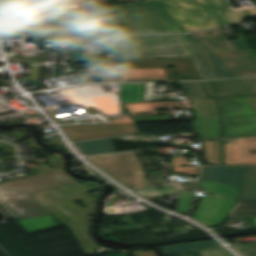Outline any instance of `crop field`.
<instances>
[{
  "instance_id": "1",
  "label": "crop field",
  "mask_w": 256,
  "mask_h": 256,
  "mask_svg": "<svg viewBox=\"0 0 256 256\" xmlns=\"http://www.w3.org/2000/svg\"><path fill=\"white\" fill-rule=\"evenodd\" d=\"M181 33L237 24L256 8L229 12L222 0H148L103 8L115 33Z\"/></svg>"
},
{
  "instance_id": "2",
  "label": "crop field",
  "mask_w": 256,
  "mask_h": 256,
  "mask_svg": "<svg viewBox=\"0 0 256 256\" xmlns=\"http://www.w3.org/2000/svg\"><path fill=\"white\" fill-rule=\"evenodd\" d=\"M201 80L256 75V54L246 38L228 41L221 29L186 34Z\"/></svg>"
},
{
  "instance_id": "3",
  "label": "crop field",
  "mask_w": 256,
  "mask_h": 256,
  "mask_svg": "<svg viewBox=\"0 0 256 256\" xmlns=\"http://www.w3.org/2000/svg\"><path fill=\"white\" fill-rule=\"evenodd\" d=\"M63 170L0 184V206L15 220L47 214L29 194L48 189L77 184Z\"/></svg>"
},
{
  "instance_id": "4",
  "label": "crop field",
  "mask_w": 256,
  "mask_h": 256,
  "mask_svg": "<svg viewBox=\"0 0 256 256\" xmlns=\"http://www.w3.org/2000/svg\"><path fill=\"white\" fill-rule=\"evenodd\" d=\"M101 186L93 182L77 184L57 190H48L31 194V196L50 214L58 219L63 225L70 228L75 239L86 255L96 254L98 245L91 239V223L81 225L69 213H67L55 201L88 193L87 190L100 188Z\"/></svg>"
},
{
  "instance_id": "5",
  "label": "crop field",
  "mask_w": 256,
  "mask_h": 256,
  "mask_svg": "<svg viewBox=\"0 0 256 256\" xmlns=\"http://www.w3.org/2000/svg\"><path fill=\"white\" fill-rule=\"evenodd\" d=\"M194 55L185 35L183 36H124V60L165 58Z\"/></svg>"
},
{
  "instance_id": "6",
  "label": "crop field",
  "mask_w": 256,
  "mask_h": 256,
  "mask_svg": "<svg viewBox=\"0 0 256 256\" xmlns=\"http://www.w3.org/2000/svg\"><path fill=\"white\" fill-rule=\"evenodd\" d=\"M223 138L256 135V97L217 99Z\"/></svg>"
},
{
  "instance_id": "7",
  "label": "crop field",
  "mask_w": 256,
  "mask_h": 256,
  "mask_svg": "<svg viewBox=\"0 0 256 256\" xmlns=\"http://www.w3.org/2000/svg\"><path fill=\"white\" fill-rule=\"evenodd\" d=\"M130 189L149 186L133 152L88 158Z\"/></svg>"
},
{
  "instance_id": "8",
  "label": "crop field",
  "mask_w": 256,
  "mask_h": 256,
  "mask_svg": "<svg viewBox=\"0 0 256 256\" xmlns=\"http://www.w3.org/2000/svg\"><path fill=\"white\" fill-rule=\"evenodd\" d=\"M235 201L209 195L203 198L193 218L209 227L225 221Z\"/></svg>"
},
{
  "instance_id": "9",
  "label": "crop field",
  "mask_w": 256,
  "mask_h": 256,
  "mask_svg": "<svg viewBox=\"0 0 256 256\" xmlns=\"http://www.w3.org/2000/svg\"><path fill=\"white\" fill-rule=\"evenodd\" d=\"M256 165V137L224 140V165Z\"/></svg>"
},
{
  "instance_id": "10",
  "label": "crop field",
  "mask_w": 256,
  "mask_h": 256,
  "mask_svg": "<svg viewBox=\"0 0 256 256\" xmlns=\"http://www.w3.org/2000/svg\"><path fill=\"white\" fill-rule=\"evenodd\" d=\"M204 86L210 97L256 95V78L207 81Z\"/></svg>"
},
{
  "instance_id": "11",
  "label": "crop field",
  "mask_w": 256,
  "mask_h": 256,
  "mask_svg": "<svg viewBox=\"0 0 256 256\" xmlns=\"http://www.w3.org/2000/svg\"><path fill=\"white\" fill-rule=\"evenodd\" d=\"M250 167H203L202 179L242 187Z\"/></svg>"
},
{
  "instance_id": "12",
  "label": "crop field",
  "mask_w": 256,
  "mask_h": 256,
  "mask_svg": "<svg viewBox=\"0 0 256 256\" xmlns=\"http://www.w3.org/2000/svg\"><path fill=\"white\" fill-rule=\"evenodd\" d=\"M101 189V188H100ZM97 190V189H95ZM89 194L58 201L57 203L61 205L67 212H69L75 219H77L81 224L91 222V215L94 212L98 198ZM80 201L86 207L82 208L76 202Z\"/></svg>"
},
{
  "instance_id": "13",
  "label": "crop field",
  "mask_w": 256,
  "mask_h": 256,
  "mask_svg": "<svg viewBox=\"0 0 256 256\" xmlns=\"http://www.w3.org/2000/svg\"><path fill=\"white\" fill-rule=\"evenodd\" d=\"M28 233L60 226L50 214L17 221Z\"/></svg>"
},
{
  "instance_id": "14",
  "label": "crop field",
  "mask_w": 256,
  "mask_h": 256,
  "mask_svg": "<svg viewBox=\"0 0 256 256\" xmlns=\"http://www.w3.org/2000/svg\"><path fill=\"white\" fill-rule=\"evenodd\" d=\"M196 120L219 118L214 99L190 100Z\"/></svg>"
},
{
  "instance_id": "15",
  "label": "crop field",
  "mask_w": 256,
  "mask_h": 256,
  "mask_svg": "<svg viewBox=\"0 0 256 256\" xmlns=\"http://www.w3.org/2000/svg\"><path fill=\"white\" fill-rule=\"evenodd\" d=\"M55 36H75V28L71 26L69 12L51 13Z\"/></svg>"
},
{
  "instance_id": "16",
  "label": "crop field",
  "mask_w": 256,
  "mask_h": 256,
  "mask_svg": "<svg viewBox=\"0 0 256 256\" xmlns=\"http://www.w3.org/2000/svg\"><path fill=\"white\" fill-rule=\"evenodd\" d=\"M191 122L202 140L221 138L219 119Z\"/></svg>"
},
{
  "instance_id": "17",
  "label": "crop field",
  "mask_w": 256,
  "mask_h": 256,
  "mask_svg": "<svg viewBox=\"0 0 256 256\" xmlns=\"http://www.w3.org/2000/svg\"><path fill=\"white\" fill-rule=\"evenodd\" d=\"M216 246H220V245L215 240H211V241H204V242L184 244V245L164 246L159 248L164 251L166 256H176V255L192 252L193 249L216 247Z\"/></svg>"
},
{
  "instance_id": "18",
  "label": "crop field",
  "mask_w": 256,
  "mask_h": 256,
  "mask_svg": "<svg viewBox=\"0 0 256 256\" xmlns=\"http://www.w3.org/2000/svg\"><path fill=\"white\" fill-rule=\"evenodd\" d=\"M200 187L204 188L209 194L230 198L234 200H237V198L235 197L239 195L241 190L240 188H234L231 186H227V185H223V184H219L211 181L201 182Z\"/></svg>"
},
{
  "instance_id": "19",
  "label": "crop field",
  "mask_w": 256,
  "mask_h": 256,
  "mask_svg": "<svg viewBox=\"0 0 256 256\" xmlns=\"http://www.w3.org/2000/svg\"><path fill=\"white\" fill-rule=\"evenodd\" d=\"M84 155L115 152L110 140L75 145Z\"/></svg>"
},
{
  "instance_id": "20",
  "label": "crop field",
  "mask_w": 256,
  "mask_h": 256,
  "mask_svg": "<svg viewBox=\"0 0 256 256\" xmlns=\"http://www.w3.org/2000/svg\"><path fill=\"white\" fill-rule=\"evenodd\" d=\"M256 216V199H239L229 219Z\"/></svg>"
},
{
  "instance_id": "21",
  "label": "crop field",
  "mask_w": 256,
  "mask_h": 256,
  "mask_svg": "<svg viewBox=\"0 0 256 256\" xmlns=\"http://www.w3.org/2000/svg\"><path fill=\"white\" fill-rule=\"evenodd\" d=\"M188 99L207 98L200 82L179 83Z\"/></svg>"
},
{
  "instance_id": "22",
  "label": "crop field",
  "mask_w": 256,
  "mask_h": 256,
  "mask_svg": "<svg viewBox=\"0 0 256 256\" xmlns=\"http://www.w3.org/2000/svg\"><path fill=\"white\" fill-rule=\"evenodd\" d=\"M240 198H256V167H252Z\"/></svg>"
},
{
  "instance_id": "23",
  "label": "crop field",
  "mask_w": 256,
  "mask_h": 256,
  "mask_svg": "<svg viewBox=\"0 0 256 256\" xmlns=\"http://www.w3.org/2000/svg\"><path fill=\"white\" fill-rule=\"evenodd\" d=\"M192 198L193 192L179 191L177 211L180 213L188 214Z\"/></svg>"
},
{
  "instance_id": "24",
  "label": "crop field",
  "mask_w": 256,
  "mask_h": 256,
  "mask_svg": "<svg viewBox=\"0 0 256 256\" xmlns=\"http://www.w3.org/2000/svg\"><path fill=\"white\" fill-rule=\"evenodd\" d=\"M141 196L148 198V197H154V196H160V195H168V194H174V187L173 186H165L163 189L158 190L157 188L147 189V190H139L136 191Z\"/></svg>"
},
{
  "instance_id": "25",
  "label": "crop field",
  "mask_w": 256,
  "mask_h": 256,
  "mask_svg": "<svg viewBox=\"0 0 256 256\" xmlns=\"http://www.w3.org/2000/svg\"><path fill=\"white\" fill-rule=\"evenodd\" d=\"M198 256H232L223 247L214 249L196 250Z\"/></svg>"
},
{
  "instance_id": "26",
  "label": "crop field",
  "mask_w": 256,
  "mask_h": 256,
  "mask_svg": "<svg viewBox=\"0 0 256 256\" xmlns=\"http://www.w3.org/2000/svg\"><path fill=\"white\" fill-rule=\"evenodd\" d=\"M233 247H235L244 256H256V243L235 245Z\"/></svg>"
},
{
  "instance_id": "27",
  "label": "crop field",
  "mask_w": 256,
  "mask_h": 256,
  "mask_svg": "<svg viewBox=\"0 0 256 256\" xmlns=\"http://www.w3.org/2000/svg\"><path fill=\"white\" fill-rule=\"evenodd\" d=\"M199 168L197 167H174L173 171L179 173L197 174Z\"/></svg>"
},
{
  "instance_id": "28",
  "label": "crop field",
  "mask_w": 256,
  "mask_h": 256,
  "mask_svg": "<svg viewBox=\"0 0 256 256\" xmlns=\"http://www.w3.org/2000/svg\"><path fill=\"white\" fill-rule=\"evenodd\" d=\"M147 174H148V178L151 186L160 184L157 172H152Z\"/></svg>"
},
{
  "instance_id": "29",
  "label": "crop field",
  "mask_w": 256,
  "mask_h": 256,
  "mask_svg": "<svg viewBox=\"0 0 256 256\" xmlns=\"http://www.w3.org/2000/svg\"><path fill=\"white\" fill-rule=\"evenodd\" d=\"M173 165H187L186 157H173Z\"/></svg>"
},
{
  "instance_id": "30",
  "label": "crop field",
  "mask_w": 256,
  "mask_h": 256,
  "mask_svg": "<svg viewBox=\"0 0 256 256\" xmlns=\"http://www.w3.org/2000/svg\"><path fill=\"white\" fill-rule=\"evenodd\" d=\"M45 144H50L51 146H57V145H63L64 143L62 140H53V141L45 142Z\"/></svg>"
},
{
  "instance_id": "31",
  "label": "crop field",
  "mask_w": 256,
  "mask_h": 256,
  "mask_svg": "<svg viewBox=\"0 0 256 256\" xmlns=\"http://www.w3.org/2000/svg\"><path fill=\"white\" fill-rule=\"evenodd\" d=\"M167 146H172V147H182V148H190L188 144H168Z\"/></svg>"
},
{
  "instance_id": "32",
  "label": "crop field",
  "mask_w": 256,
  "mask_h": 256,
  "mask_svg": "<svg viewBox=\"0 0 256 256\" xmlns=\"http://www.w3.org/2000/svg\"><path fill=\"white\" fill-rule=\"evenodd\" d=\"M97 141V140H96ZM86 142H90V141H86ZM78 143H84V142H78ZM78 143H75V144H78Z\"/></svg>"
},
{
  "instance_id": "33",
  "label": "crop field",
  "mask_w": 256,
  "mask_h": 256,
  "mask_svg": "<svg viewBox=\"0 0 256 256\" xmlns=\"http://www.w3.org/2000/svg\"><path fill=\"white\" fill-rule=\"evenodd\" d=\"M254 218V220H255V222H256V217H253Z\"/></svg>"
}]
</instances>
